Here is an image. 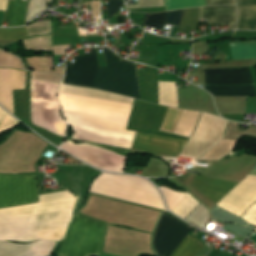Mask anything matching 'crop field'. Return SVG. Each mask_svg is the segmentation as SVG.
Listing matches in <instances>:
<instances>
[{
  "label": "crop field",
  "instance_id": "1",
  "mask_svg": "<svg viewBox=\"0 0 256 256\" xmlns=\"http://www.w3.org/2000/svg\"><path fill=\"white\" fill-rule=\"evenodd\" d=\"M72 138L131 148L135 133L125 130L132 105L59 92Z\"/></svg>",
  "mask_w": 256,
  "mask_h": 256
},
{
  "label": "crop field",
  "instance_id": "2",
  "mask_svg": "<svg viewBox=\"0 0 256 256\" xmlns=\"http://www.w3.org/2000/svg\"><path fill=\"white\" fill-rule=\"evenodd\" d=\"M74 202L65 190L39 195V203L0 210V241H59L72 218Z\"/></svg>",
  "mask_w": 256,
  "mask_h": 256
},
{
  "label": "crop field",
  "instance_id": "3",
  "mask_svg": "<svg viewBox=\"0 0 256 256\" xmlns=\"http://www.w3.org/2000/svg\"><path fill=\"white\" fill-rule=\"evenodd\" d=\"M107 67L99 68L95 49L67 64L63 83L95 88L139 99V85L134 64L116 62L115 54L103 48Z\"/></svg>",
  "mask_w": 256,
  "mask_h": 256
},
{
  "label": "crop field",
  "instance_id": "4",
  "mask_svg": "<svg viewBox=\"0 0 256 256\" xmlns=\"http://www.w3.org/2000/svg\"><path fill=\"white\" fill-rule=\"evenodd\" d=\"M90 192L166 210L159 191L143 178L103 173Z\"/></svg>",
  "mask_w": 256,
  "mask_h": 256
},
{
  "label": "crop field",
  "instance_id": "5",
  "mask_svg": "<svg viewBox=\"0 0 256 256\" xmlns=\"http://www.w3.org/2000/svg\"><path fill=\"white\" fill-rule=\"evenodd\" d=\"M59 85L31 79L32 123L64 137L65 120L56 97Z\"/></svg>",
  "mask_w": 256,
  "mask_h": 256
},
{
  "label": "crop field",
  "instance_id": "6",
  "mask_svg": "<svg viewBox=\"0 0 256 256\" xmlns=\"http://www.w3.org/2000/svg\"><path fill=\"white\" fill-rule=\"evenodd\" d=\"M105 224L75 214L68 229L60 256L99 255Z\"/></svg>",
  "mask_w": 256,
  "mask_h": 256
},
{
  "label": "crop field",
  "instance_id": "7",
  "mask_svg": "<svg viewBox=\"0 0 256 256\" xmlns=\"http://www.w3.org/2000/svg\"><path fill=\"white\" fill-rule=\"evenodd\" d=\"M36 201L38 200L35 175H0V208Z\"/></svg>",
  "mask_w": 256,
  "mask_h": 256
},
{
  "label": "crop field",
  "instance_id": "8",
  "mask_svg": "<svg viewBox=\"0 0 256 256\" xmlns=\"http://www.w3.org/2000/svg\"><path fill=\"white\" fill-rule=\"evenodd\" d=\"M61 149L103 170L123 173L126 157L87 144L66 141Z\"/></svg>",
  "mask_w": 256,
  "mask_h": 256
},
{
  "label": "crop field",
  "instance_id": "9",
  "mask_svg": "<svg viewBox=\"0 0 256 256\" xmlns=\"http://www.w3.org/2000/svg\"><path fill=\"white\" fill-rule=\"evenodd\" d=\"M191 228L185 223L164 213L153 243L157 255L169 256Z\"/></svg>",
  "mask_w": 256,
  "mask_h": 256
},
{
  "label": "crop field",
  "instance_id": "10",
  "mask_svg": "<svg viewBox=\"0 0 256 256\" xmlns=\"http://www.w3.org/2000/svg\"><path fill=\"white\" fill-rule=\"evenodd\" d=\"M185 142V140L137 132L132 148L178 156Z\"/></svg>",
  "mask_w": 256,
  "mask_h": 256
},
{
  "label": "crop field",
  "instance_id": "11",
  "mask_svg": "<svg viewBox=\"0 0 256 256\" xmlns=\"http://www.w3.org/2000/svg\"><path fill=\"white\" fill-rule=\"evenodd\" d=\"M205 84H254L249 67L205 70Z\"/></svg>",
  "mask_w": 256,
  "mask_h": 256
},
{
  "label": "crop field",
  "instance_id": "12",
  "mask_svg": "<svg viewBox=\"0 0 256 256\" xmlns=\"http://www.w3.org/2000/svg\"><path fill=\"white\" fill-rule=\"evenodd\" d=\"M26 71L0 69V104L14 114L11 89H24Z\"/></svg>",
  "mask_w": 256,
  "mask_h": 256
},
{
  "label": "crop field",
  "instance_id": "13",
  "mask_svg": "<svg viewBox=\"0 0 256 256\" xmlns=\"http://www.w3.org/2000/svg\"><path fill=\"white\" fill-rule=\"evenodd\" d=\"M56 242L38 241L35 244L0 242V256H50Z\"/></svg>",
  "mask_w": 256,
  "mask_h": 256
},
{
  "label": "crop field",
  "instance_id": "14",
  "mask_svg": "<svg viewBox=\"0 0 256 256\" xmlns=\"http://www.w3.org/2000/svg\"><path fill=\"white\" fill-rule=\"evenodd\" d=\"M236 185V183L195 175L190 186L202 192L217 203Z\"/></svg>",
  "mask_w": 256,
  "mask_h": 256
},
{
  "label": "crop field",
  "instance_id": "15",
  "mask_svg": "<svg viewBox=\"0 0 256 256\" xmlns=\"http://www.w3.org/2000/svg\"><path fill=\"white\" fill-rule=\"evenodd\" d=\"M201 18H207L208 25L230 24V29L236 25V7H203L201 8Z\"/></svg>",
  "mask_w": 256,
  "mask_h": 256
},
{
  "label": "crop field",
  "instance_id": "16",
  "mask_svg": "<svg viewBox=\"0 0 256 256\" xmlns=\"http://www.w3.org/2000/svg\"><path fill=\"white\" fill-rule=\"evenodd\" d=\"M238 29H256V0H237Z\"/></svg>",
  "mask_w": 256,
  "mask_h": 256
},
{
  "label": "crop field",
  "instance_id": "17",
  "mask_svg": "<svg viewBox=\"0 0 256 256\" xmlns=\"http://www.w3.org/2000/svg\"><path fill=\"white\" fill-rule=\"evenodd\" d=\"M60 91L84 95V96L96 97V98H101V99L119 101V102H124V103H130V104H132L134 101V99L128 98L125 96H120V95H116V94H112V93H107V92H103V91H99V90L82 88V87L62 85Z\"/></svg>",
  "mask_w": 256,
  "mask_h": 256
},
{
  "label": "crop field",
  "instance_id": "18",
  "mask_svg": "<svg viewBox=\"0 0 256 256\" xmlns=\"http://www.w3.org/2000/svg\"><path fill=\"white\" fill-rule=\"evenodd\" d=\"M213 96H256L254 86H212L205 85Z\"/></svg>",
  "mask_w": 256,
  "mask_h": 256
},
{
  "label": "crop field",
  "instance_id": "19",
  "mask_svg": "<svg viewBox=\"0 0 256 256\" xmlns=\"http://www.w3.org/2000/svg\"><path fill=\"white\" fill-rule=\"evenodd\" d=\"M27 2L21 0H9L5 21L9 26H22L25 24Z\"/></svg>",
  "mask_w": 256,
  "mask_h": 256
},
{
  "label": "crop field",
  "instance_id": "20",
  "mask_svg": "<svg viewBox=\"0 0 256 256\" xmlns=\"http://www.w3.org/2000/svg\"><path fill=\"white\" fill-rule=\"evenodd\" d=\"M26 49L53 50L54 55L65 54L68 45L51 47V36L34 37L24 40Z\"/></svg>",
  "mask_w": 256,
  "mask_h": 256
},
{
  "label": "crop field",
  "instance_id": "21",
  "mask_svg": "<svg viewBox=\"0 0 256 256\" xmlns=\"http://www.w3.org/2000/svg\"><path fill=\"white\" fill-rule=\"evenodd\" d=\"M203 246L200 240L187 235L171 256H195Z\"/></svg>",
  "mask_w": 256,
  "mask_h": 256
},
{
  "label": "crop field",
  "instance_id": "22",
  "mask_svg": "<svg viewBox=\"0 0 256 256\" xmlns=\"http://www.w3.org/2000/svg\"><path fill=\"white\" fill-rule=\"evenodd\" d=\"M30 68L36 71L63 74L64 67H53L52 57L26 58Z\"/></svg>",
  "mask_w": 256,
  "mask_h": 256
},
{
  "label": "crop field",
  "instance_id": "23",
  "mask_svg": "<svg viewBox=\"0 0 256 256\" xmlns=\"http://www.w3.org/2000/svg\"><path fill=\"white\" fill-rule=\"evenodd\" d=\"M234 60L256 58V43H230Z\"/></svg>",
  "mask_w": 256,
  "mask_h": 256
},
{
  "label": "crop field",
  "instance_id": "24",
  "mask_svg": "<svg viewBox=\"0 0 256 256\" xmlns=\"http://www.w3.org/2000/svg\"><path fill=\"white\" fill-rule=\"evenodd\" d=\"M182 110L169 108L160 130L172 133Z\"/></svg>",
  "mask_w": 256,
  "mask_h": 256
},
{
  "label": "crop field",
  "instance_id": "25",
  "mask_svg": "<svg viewBox=\"0 0 256 256\" xmlns=\"http://www.w3.org/2000/svg\"><path fill=\"white\" fill-rule=\"evenodd\" d=\"M165 9L188 8L205 5V0H164Z\"/></svg>",
  "mask_w": 256,
  "mask_h": 256
},
{
  "label": "crop field",
  "instance_id": "26",
  "mask_svg": "<svg viewBox=\"0 0 256 256\" xmlns=\"http://www.w3.org/2000/svg\"><path fill=\"white\" fill-rule=\"evenodd\" d=\"M165 197L169 209L172 211L188 193H176L163 186L159 187Z\"/></svg>",
  "mask_w": 256,
  "mask_h": 256
},
{
  "label": "crop field",
  "instance_id": "27",
  "mask_svg": "<svg viewBox=\"0 0 256 256\" xmlns=\"http://www.w3.org/2000/svg\"><path fill=\"white\" fill-rule=\"evenodd\" d=\"M25 37H27L26 27L17 29H0V40H20Z\"/></svg>",
  "mask_w": 256,
  "mask_h": 256
},
{
  "label": "crop field",
  "instance_id": "28",
  "mask_svg": "<svg viewBox=\"0 0 256 256\" xmlns=\"http://www.w3.org/2000/svg\"><path fill=\"white\" fill-rule=\"evenodd\" d=\"M167 13L146 14L143 26L162 29Z\"/></svg>",
  "mask_w": 256,
  "mask_h": 256
},
{
  "label": "crop field",
  "instance_id": "29",
  "mask_svg": "<svg viewBox=\"0 0 256 256\" xmlns=\"http://www.w3.org/2000/svg\"><path fill=\"white\" fill-rule=\"evenodd\" d=\"M2 67L22 69V63L13 55L0 51V68Z\"/></svg>",
  "mask_w": 256,
  "mask_h": 256
},
{
  "label": "crop field",
  "instance_id": "30",
  "mask_svg": "<svg viewBox=\"0 0 256 256\" xmlns=\"http://www.w3.org/2000/svg\"><path fill=\"white\" fill-rule=\"evenodd\" d=\"M19 123L20 122H18L16 119L11 117L0 108V132L3 130H7L15 125H18Z\"/></svg>",
  "mask_w": 256,
  "mask_h": 256
},
{
  "label": "crop field",
  "instance_id": "31",
  "mask_svg": "<svg viewBox=\"0 0 256 256\" xmlns=\"http://www.w3.org/2000/svg\"><path fill=\"white\" fill-rule=\"evenodd\" d=\"M28 36L40 33H51L50 21L37 23L27 27Z\"/></svg>",
  "mask_w": 256,
  "mask_h": 256
},
{
  "label": "crop field",
  "instance_id": "32",
  "mask_svg": "<svg viewBox=\"0 0 256 256\" xmlns=\"http://www.w3.org/2000/svg\"><path fill=\"white\" fill-rule=\"evenodd\" d=\"M31 75L33 78L46 80V81H50V82H54V83H58V84L61 83V80L63 78V76L34 72V71H31Z\"/></svg>",
  "mask_w": 256,
  "mask_h": 256
},
{
  "label": "crop field",
  "instance_id": "33",
  "mask_svg": "<svg viewBox=\"0 0 256 256\" xmlns=\"http://www.w3.org/2000/svg\"><path fill=\"white\" fill-rule=\"evenodd\" d=\"M183 12H184V10H177V11L169 12L165 24L179 26Z\"/></svg>",
  "mask_w": 256,
  "mask_h": 256
},
{
  "label": "crop field",
  "instance_id": "34",
  "mask_svg": "<svg viewBox=\"0 0 256 256\" xmlns=\"http://www.w3.org/2000/svg\"><path fill=\"white\" fill-rule=\"evenodd\" d=\"M123 4L121 0H108V19L120 8Z\"/></svg>",
  "mask_w": 256,
  "mask_h": 256
},
{
  "label": "crop field",
  "instance_id": "35",
  "mask_svg": "<svg viewBox=\"0 0 256 256\" xmlns=\"http://www.w3.org/2000/svg\"><path fill=\"white\" fill-rule=\"evenodd\" d=\"M99 2H100L99 0L90 1V2L84 3L83 5L90 4L93 17H99Z\"/></svg>",
  "mask_w": 256,
  "mask_h": 256
},
{
  "label": "crop field",
  "instance_id": "36",
  "mask_svg": "<svg viewBox=\"0 0 256 256\" xmlns=\"http://www.w3.org/2000/svg\"><path fill=\"white\" fill-rule=\"evenodd\" d=\"M207 5L235 4L234 0H206Z\"/></svg>",
  "mask_w": 256,
  "mask_h": 256
},
{
  "label": "crop field",
  "instance_id": "37",
  "mask_svg": "<svg viewBox=\"0 0 256 256\" xmlns=\"http://www.w3.org/2000/svg\"><path fill=\"white\" fill-rule=\"evenodd\" d=\"M81 1H90V0H81Z\"/></svg>",
  "mask_w": 256,
  "mask_h": 256
}]
</instances>
